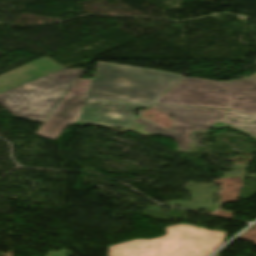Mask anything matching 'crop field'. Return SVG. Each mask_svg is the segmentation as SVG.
<instances>
[{
  "mask_svg": "<svg viewBox=\"0 0 256 256\" xmlns=\"http://www.w3.org/2000/svg\"><path fill=\"white\" fill-rule=\"evenodd\" d=\"M181 75L99 62L79 122L127 129Z\"/></svg>",
  "mask_w": 256,
  "mask_h": 256,
  "instance_id": "crop-field-1",
  "label": "crop field"
},
{
  "mask_svg": "<svg viewBox=\"0 0 256 256\" xmlns=\"http://www.w3.org/2000/svg\"><path fill=\"white\" fill-rule=\"evenodd\" d=\"M156 103L231 109L256 115V73L231 82L182 77Z\"/></svg>",
  "mask_w": 256,
  "mask_h": 256,
  "instance_id": "crop-field-2",
  "label": "crop field"
},
{
  "mask_svg": "<svg viewBox=\"0 0 256 256\" xmlns=\"http://www.w3.org/2000/svg\"><path fill=\"white\" fill-rule=\"evenodd\" d=\"M226 232L188 224L166 227V235L109 247L108 256H208L223 244Z\"/></svg>",
  "mask_w": 256,
  "mask_h": 256,
  "instance_id": "crop-field-3",
  "label": "crop field"
},
{
  "mask_svg": "<svg viewBox=\"0 0 256 256\" xmlns=\"http://www.w3.org/2000/svg\"><path fill=\"white\" fill-rule=\"evenodd\" d=\"M85 69H63L0 95V105L14 116L44 123Z\"/></svg>",
  "mask_w": 256,
  "mask_h": 256,
  "instance_id": "crop-field-4",
  "label": "crop field"
},
{
  "mask_svg": "<svg viewBox=\"0 0 256 256\" xmlns=\"http://www.w3.org/2000/svg\"><path fill=\"white\" fill-rule=\"evenodd\" d=\"M153 107L164 110L173 115L172 125L176 132L172 133L166 131L156 127V125L152 123L139 119L138 121H141L140 124L148 126L144 131L175 138L176 143H178V147H180L181 150H188L191 132L198 129L208 130L221 117L229 112L225 110L162 105H154Z\"/></svg>",
  "mask_w": 256,
  "mask_h": 256,
  "instance_id": "crop-field-5",
  "label": "crop field"
},
{
  "mask_svg": "<svg viewBox=\"0 0 256 256\" xmlns=\"http://www.w3.org/2000/svg\"><path fill=\"white\" fill-rule=\"evenodd\" d=\"M91 80L79 79L35 135L55 141L67 126L77 122L85 100L70 96L86 98Z\"/></svg>",
  "mask_w": 256,
  "mask_h": 256,
  "instance_id": "crop-field-6",
  "label": "crop field"
},
{
  "mask_svg": "<svg viewBox=\"0 0 256 256\" xmlns=\"http://www.w3.org/2000/svg\"><path fill=\"white\" fill-rule=\"evenodd\" d=\"M61 69L63 68L41 58L0 76V94Z\"/></svg>",
  "mask_w": 256,
  "mask_h": 256,
  "instance_id": "crop-field-7",
  "label": "crop field"
},
{
  "mask_svg": "<svg viewBox=\"0 0 256 256\" xmlns=\"http://www.w3.org/2000/svg\"><path fill=\"white\" fill-rule=\"evenodd\" d=\"M228 126L256 140V118L230 111L211 128Z\"/></svg>",
  "mask_w": 256,
  "mask_h": 256,
  "instance_id": "crop-field-8",
  "label": "crop field"
},
{
  "mask_svg": "<svg viewBox=\"0 0 256 256\" xmlns=\"http://www.w3.org/2000/svg\"><path fill=\"white\" fill-rule=\"evenodd\" d=\"M214 256H219V255L216 254V255H214Z\"/></svg>",
  "mask_w": 256,
  "mask_h": 256,
  "instance_id": "crop-field-9",
  "label": "crop field"
},
{
  "mask_svg": "<svg viewBox=\"0 0 256 256\" xmlns=\"http://www.w3.org/2000/svg\"><path fill=\"white\" fill-rule=\"evenodd\" d=\"M256 65V64H255Z\"/></svg>",
  "mask_w": 256,
  "mask_h": 256,
  "instance_id": "crop-field-10",
  "label": "crop field"
},
{
  "mask_svg": "<svg viewBox=\"0 0 256 256\" xmlns=\"http://www.w3.org/2000/svg\"><path fill=\"white\" fill-rule=\"evenodd\" d=\"M256 117V116H255Z\"/></svg>",
  "mask_w": 256,
  "mask_h": 256,
  "instance_id": "crop-field-11",
  "label": "crop field"
}]
</instances>
